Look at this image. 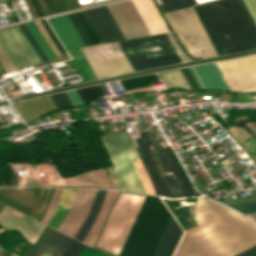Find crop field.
I'll return each mask as SVG.
<instances>
[{"label":"crop field","instance_id":"1","mask_svg":"<svg viewBox=\"0 0 256 256\" xmlns=\"http://www.w3.org/2000/svg\"><path fill=\"white\" fill-rule=\"evenodd\" d=\"M228 54L256 48V34L237 0L204 5Z\"/></svg>","mask_w":256,"mask_h":256},{"label":"crop field","instance_id":"2","mask_svg":"<svg viewBox=\"0 0 256 256\" xmlns=\"http://www.w3.org/2000/svg\"><path fill=\"white\" fill-rule=\"evenodd\" d=\"M119 192H122V191H119ZM118 192V194H119ZM123 193H129V192H123ZM123 193H120L115 204H114V207L108 217V220L101 232V235L96 243V247H99L101 249H104V250H107L109 252H112V253H115V254H119L122 246H123V243L129 233V230L134 222V219L140 209V206L144 200L145 197H142V196H145L143 194H136V193H129V194H136V195H142V196H136V195H129V194H123ZM107 219V218H106ZM94 247V246H93ZM94 247V248H96ZM98 249V248H96ZM99 249V250H101ZM104 250H101V251H104ZM106 252V251H104ZM109 252H106V253H109ZM112 253H109L111 255H114ZM117 255H114V256H117Z\"/></svg>","mask_w":256,"mask_h":256},{"label":"crop field","instance_id":"3","mask_svg":"<svg viewBox=\"0 0 256 256\" xmlns=\"http://www.w3.org/2000/svg\"><path fill=\"white\" fill-rule=\"evenodd\" d=\"M134 71L180 63L166 34L120 41Z\"/></svg>","mask_w":256,"mask_h":256},{"label":"crop field","instance_id":"4","mask_svg":"<svg viewBox=\"0 0 256 256\" xmlns=\"http://www.w3.org/2000/svg\"><path fill=\"white\" fill-rule=\"evenodd\" d=\"M113 164L122 190L146 193L132 159L139 158L127 131L100 137Z\"/></svg>","mask_w":256,"mask_h":256},{"label":"crop field","instance_id":"5","mask_svg":"<svg viewBox=\"0 0 256 256\" xmlns=\"http://www.w3.org/2000/svg\"><path fill=\"white\" fill-rule=\"evenodd\" d=\"M164 16L190 56L194 58L217 56L193 7L165 13Z\"/></svg>","mask_w":256,"mask_h":256},{"label":"crop field","instance_id":"6","mask_svg":"<svg viewBox=\"0 0 256 256\" xmlns=\"http://www.w3.org/2000/svg\"><path fill=\"white\" fill-rule=\"evenodd\" d=\"M147 150L150 156V160L151 163L155 169V172L157 174V177L161 183V186L163 188L164 194L166 197H175V198H179V197H183V196H192L187 184L181 174V172L179 171L177 165L175 164V162L172 160V158L170 157L168 152H163L162 148L160 147L159 143L157 142V139L155 137V135L151 136L154 144L159 152V156H160V160H161V164L163 167V171L165 172H171L173 171L174 176L176 178V181L182 191L179 190L178 186L176 185V183L174 182L173 178L171 175H165V176H161L158 167L153 159V156L151 154L150 148L148 146V144H151L149 137L147 135L146 131H142L139 132ZM146 150V151H147Z\"/></svg>","mask_w":256,"mask_h":256},{"label":"crop field","instance_id":"7","mask_svg":"<svg viewBox=\"0 0 256 256\" xmlns=\"http://www.w3.org/2000/svg\"><path fill=\"white\" fill-rule=\"evenodd\" d=\"M161 200L147 195L119 256H135Z\"/></svg>","mask_w":256,"mask_h":256},{"label":"crop field","instance_id":"8","mask_svg":"<svg viewBox=\"0 0 256 256\" xmlns=\"http://www.w3.org/2000/svg\"><path fill=\"white\" fill-rule=\"evenodd\" d=\"M0 43L6 50L16 70L40 64V61L29 48L18 28L1 31Z\"/></svg>","mask_w":256,"mask_h":256},{"label":"crop field","instance_id":"9","mask_svg":"<svg viewBox=\"0 0 256 256\" xmlns=\"http://www.w3.org/2000/svg\"><path fill=\"white\" fill-rule=\"evenodd\" d=\"M95 191L94 189L76 190L69 211L57 230L74 237L87 216Z\"/></svg>","mask_w":256,"mask_h":256},{"label":"crop field","instance_id":"10","mask_svg":"<svg viewBox=\"0 0 256 256\" xmlns=\"http://www.w3.org/2000/svg\"><path fill=\"white\" fill-rule=\"evenodd\" d=\"M170 215L161 202L136 256H152Z\"/></svg>","mask_w":256,"mask_h":256},{"label":"crop field","instance_id":"11","mask_svg":"<svg viewBox=\"0 0 256 256\" xmlns=\"http://www.w3.org/2000/svg\"><path fill=\"white\" fill-rule=\"evenodd\" d=\"M13 213L14 211L7 207L1 210L0 224L10 230L17 228L30 243H34L44 225L27 216L22 219Z\"/></svg>","mask_w":256,"mask_h":256},{"label":"crop field","instance_id":"12","mask_svg":"<svg viewBox=\"0 0 256 256\" xmlns=\"http://www.w3.org/2000/svg\"><path fill=\"white\" fill-rule=\"evenodd\" d=\"M49 21L67 51L84 46L83 41L75 30L67 14L50 18Z\"/></svg>","mask_w":256,"mask_h":256},{"label":"crop field","instance_id":"13","mask_svg":"<svg viewBox=\"0 0 256 256\" xmlns=\"http://www.w3.org/2000/svg\"><path fill=\"white\" fill-rule=\"evenodd\" d=\"M74 239L52 230L29 256H60Z\"/></svg>","mask_w":256,"mask_h":256},{"label":"crop field","instance_id":"14","mask_svg":"<svg viewBox=\"0 0 256 256\" xmlns=\"http://www.w3.org/2000/svg\"><path fill=\"white\" fill-rule=\"evenodd\" d=\"M205 88L229 90L215 63L193 66Z\"/></svg>","mask_w":256,"mask_h":256},{"label":"crop field","instance_id":"15","mask_svg":"<svg viewBox=\"0 0 256 256\" xmlns=\"http://www.w3.org/2000/svg\"><path fill=\"white\" fill-rule=\"evenodd\" d=\"M117 192L118 191H107L106 192V196H105L104 202L102 204V207L100 209V212H99L93 226L91 227L90 231L88 232L85 239L83 240V243L93 246Z\"/></svg>","mask_w":256,"mask_h":256},{"label":"crop field","instance_id":"16","mask_svg":"<svg viewBox=\"0 0 256 256\" xmlns=\"http://www.w3.org/2000/svg\"><path fill=\"white\" fill-rule=\"evenodd\" d=\"M87 17L89 18L91 24L96 30L98 36L100 37L102 43L115 41L116 38L111 31L109 25L107 24L104 16L102 15L98 7L84 10Z\"/></svg>","mask_w":256,"mask_h":256},{"label":"crop field","instance_id":"17","mask_svg":"<svg viewBox=\"0 0 256 256\" xmlns=\"http://www.w3.org/2000/svg\"><path fill=\"white\" fill-rule=\"evenodd\" d=\"M136 37L149 35L131 0L118 3Z\"/></svg>","mask_w":256,"mask_h":256},{"label":"crop field","instance_id":"18","mask_svg":"<svg viewBox=\"0 0 256 256\" xmlns=\"http://www.w3.org/2000/svg\"><path fill=\"white\" fill-rule=\"evenodd\" d=\"M204 29L206 30L216 52L218 53V55H223V54H227L216 30L214 29L203 5H200V6H195L194 7Z\"/></svg>","mask_w":256,"mask_h":256},{"label":"crop field","instance_id":"19","mask_svg":"<svg viewBox=\"0 0 256 256\" xmlns=\"http://www.w3.org/2000/svg\"><path fill=\"white\" fill-rule=\"evenodd\" d=\"M119 74L133 71L118 42L103 45Z\"/></svg>","mask_w":256,"mask_h":256},{"label":"crop field","instance_id":"20","mask_svg":"<svg viewBox=\"0 0 256 256\" xmlns=\"http://www.w3.org/2000/svg\"><path fill=\"white\" fill-rule=\"evenodd\" d=\"M76 189L63 188L59 204L48 226L56 229L65 217Z\"/></svg>","mask_w":256,"mask_h":256},{"label":"crop field","instance_id":"21","mask_svg":"<svg viewBox=\"0 0 256 256\" xmlns=\"http://www.w3.org/2000/svg\"><path fill=\"white\" fill-rule=\"evenodd\" d=\"M105 191L106 190H98L97 191L96 196H95L94 201H93V204L91 206V209L88 213V216H87L84 224L81 226V228L79 229V231L77 232V234L74 237L77 240L82 242L83 238L85 237L88 230L92 226V224H93V222H94V220H95V218H96V216L99 212L101 204L103 202Z\"/></svg>","mask_w":256,"mask_h":256},{"label":"crop field","instance_id":"22","mask_svg":"<svg viewBox=\"0 0 256 256\" xmlns=\"http://www.w3.org/2000/svg\"><path fill=\"white\" fill-rule=\"evenodd\" d=\"M134 140L136 142L137 149H138V151L140 153V157H141L142 163H143V165H144V167H145V169H146V171H147V173H148V175L150 177V180L152 182V185H153V188H154L156 194L159 195V196L165 197L164 194H163V191L161 189V186H160V184L158 182V179H157V177L155 175L154 169H153V167H152V165L150 163V160H149V157H148V153L146 151V148H145L141 138L140 137L139 138H135Z\"/></svg>","mask_w":256,"mask_h":256},{"label":"crop field","instance_id":"23","mask_svg":"<svg viewBox=\"0 0 256 256\" xmlns=\"http://www.w3.org/2000/svg\"><path fill=\"white\" fill-rule=\"evenodd\" d=\"M158 81L159 78L157 74H147L139 77L122 80L121 83L125 91H128L132 89L150 86L151 84L157 83Z\"/></svg>","mask_w":256,"mask_h":256},{"label":"crop field","instance_id":"24","mask_svg":"<svg viewBox=\"0 0 256 256\" xmlns=\"http://www.w3.org/2000/svg\"><path fill=\"white\" fill-rule=\"evenodd\" d=\"M87 62L89 63L90 67L92 68L94 74L96 75L97 79L107 77V74L93 48V46L83 47L81 48Z\"/></svg>","mask_w":256,"mask_h":256},{"label":"crop field","instance_id":"25","mask_svg":"<svg viewBox=\"0 0 256 256\" xmlns=\"http://www.w3.org/2000/svg\"><path fill=\"white\" fill-rule=\"evenodd\" d=\"M107 7H108L109 11L111 12L113 18L115 19L117 25L119 26L120 30L122 31L124 37L126 39L134 38L135 35H134L133 31L131 30L129 24L127 23L125 17L123 16L121 10L119 9L117 3L108 4Z\"/></svg>","mask_w":256,"mask_h":256},{"label":"crop field","instance_id":"26","mask_svg":"<svg viewBox=\"0 0 256 256\" xmlns=\"http://www.w3.org/2000/svg\"><path fill=\"white\" fill-rule=\"evenodd\" d=\"M168 89L170 88H189L180 69L160 73Z\"/></svg>","mask_w":256,"mask_h":256},{"label":"crop field","instance_id":"27","mask_svg":"<svg viewBox=\"0 0 256 256\" xmlns=\"http://www.w3.org/2000/svg\"><path fill=\"white\" fill-rule=\"evenodd\" d=\"M25 26L29 30V32L32 34V36L34 37V39L36 40V42L38 43V45L40 46V48L42 49V51L44 52L48 60L55 57V54L53 53V51L51 50V48L49 47V45L47 44L43 36L41 35L35 22L27 23L25 24Z\"/></svg>","mask_w":256,"mask_h":256},{"label":"crop field","instance_id":"28","mask_svg":"<svg viewBox=\"0 0 256 256\" xmlns=\"http://www.w3.org/2000/svg\"><path fill=\"white\" fill-rule=\"evenodd\" d=\"M74 15L77 18L78 22L80 23L81 27L83 28V30H84L85 34L87 35L88 39L90 40L91 44L101 43L99 37L97 36L95 30L93 29L92 25L90 24L84 11L74 12Z\"/></svg>","mask_w":256,"mask_h":256},{"label":"crop field","instance_id":"29","mask_svg":"<svg viewBox=\"0 0 256 256\" xmlns=\"http://www.w3.org/2000/svg\"><path fill=\"white\" fill-rule=\"evenodd\" d=\"M77 92L83 103L105 96L101 85L78 89Z\"/></svg>","mask_w":256,"mask_h":256},{"label":"crop field","instance_id":"30","mask_svg":"<svg viewBox=\"0 0 256 256\" xmlns=\"http://www.w3.org/2000/svg\"><path fill=\"white\" fill-rule=\"evenodd\" d=\"M175 224H176V222H175L174 218L171 216V218H170V220H169V222H168V224H167V226H166V228L163 232V235H162V237H161V239H160V241H159V243H158V245L155 249V252H154L153 256H161L162 255V252H163V250H164V248L167 244V241H168V239L171 235V232H172Z\"/></svg>","mask_w":256,"mask_h":256},{"label":"crop field","instance_id":"31","mask_svg":"<svg viewBox=\"0 0 256 256\" xmlns=\"http://www.w3.org/2000/svg\"><path fill=\"white\" fill-rule=\"evenodd\" d=\"M182 233H183V231L178 226V224H176L162 256H172L173 255L175 248L181 238Z\"/></svg>","mask_w":256,"mask_h":256},{"label":"crop field","instance_id":"32","mask_svg":"<svg viewBox=\"0 0 256 256\" xmlns=\"http://www.w3.org/2000/svg\"><path fill=\"white\" fill-rule=\"evenodd\" d=\"M166 11L194 5V0H161Z\"/></svg>","mask_w":256,"mask_h":256},{"label":"crop field","instance_id":"33","mask_svg":"<svg viewBox=\"0 0 256 256\" xmlns=\"http://www.w3.org/2000/svg\"><path fill=\"white\" fill-rule=\"evenodd\" d=\"M100 9H101L103 15L105 16L107 22L109 23V25H110L112 31L114 32V34H115L117 40H122V39H124L122 33L120 32L118 26L116 25V23H115V21H114V19L112 18L111 14L109 13V11H108L106 5L100 6Z\"/></svg>","mask_w":256,"mask_h":256},{"label":"crop field","instance_id":"34","mask_svg":"<svg viewBox=\"0 0 256 256\" xmlns=\"http://www.w3.org/2000/svg\"><path fill=\"white\" fill-rule=\"evenodd\" d=\"M61 190H62V188H56V190H55V195H54V199H53V201H52V203H51V205H50V208H49V211H48L47 215H46L45 218L42 220V223H43V221H45L44 224L47 225L48 221H49L50 218L52 217L53 212H54V210H55V208H56V206H57V204H58V201H59V198H60V194H61Z\"/></svg>","mask_w":256,"mask_h":256},{"label":"crop field","instance_id":"35","mask_svg":"<svg viewBox=\"0 0 256 256\" xmlns=\"http://www.w3.org/2000/svg\"><path fill=\"white\" fill-rule=\"evenodd\" d=\"M84 247L85 245L75 240L62 256H77Z\"/></svg>","mask_w":256,"mask_h":256},{"label":"crop field","instance_id":"36","mask_svg":"<svg viewBox=\"0 0 256 256\" xmlns=\"http://www.w3.org/2000/svg\"><path fill=\"white\" fill-rule=\"evenodd\" d=\"M243 214L256 212V202L230 206Z\"/></svg>","mask_w":256,"mask_h":256},{"label":"crop field","instance_id":"37","mask_svg":"<svg viewBox=\"0 0 256 256\" xmlns=\"http://www.w3.org/2000/svg\"><path fill=\"white\" fill-rule=\"evenodd\" d=\"M0 62L3 66V68L5 69L6 73L15 71V68L13 67L10 60L8 59V57L2 50L1 46H0Z\"/></svg>","mask_w":256,"mask_h":256},{"label":"crop field","instance_id":"38","mask_svg":"<svg viewBox=\"0 0 256 256\" xmlns=\"http://www.w3.org/2000/svg\"><path fill=\"white\" fill-rule=\"evenodd\" d=\"M51 97H52L57 109L69 106V104H68L67 100L65 99L63 93L53 94V95H51Z\"/></svg>","mask_w":256,"mask_h":256},{"label":"crop field","instance_id":"39","mask_svg":"<svg viewBox=\"0 0 256 256\" xmlns=\"http://www.w3.org/2000/svg\"><path fill=\"white\" fill-rule=\"evenodd\" d=\"M74 50H75L77 56L79 57L80 61L82 62L84 68L86 69L87 73L89 74L91 80H95L96 77L93 74V72H92L91 68L89 67L88 63L86 62V60H85V58H84L80 48H77V49H74Z\"/></svg>","mask_w":256,"mask_h":256},{"label":"crop field","instance_id":"40","mask_svg":"<svg viewBox=\"0 0 256 256\" xmlns=\"http://www.w3.org/2000/svg\"><path fill=\"white\" fill-rule=\"evenodd\" d=\"M68 16L71 19L72 23L74 24L75 28L77 29V31H78L79 35L81 36L82 40L84 41L85 45H89L90 42L87 39L86 35L84 34L83 30L81 29L79 23L77 22L76 18L73 15V13H69Z\"/></svg>","mask_w":256,"mask_h":256},{"label":"crop field","instance_id":"41","mask_svg":"<svg viewBox=\"0 0 256 256\" xmlns=\"http://www.w3.org/2000/svg\"><path fill=\"white\" fill-rule=\"evenodd\" d=\"M254 23L256 24V0H243Z\"/></svg>","mask_w":256,"mask_h":256},{"label":"crop field","instance_id":"42","mask_svg":"<svg viewBox=\"0 0 256 256\" xmlns=\"http://www.w3.org/2000/svg\"><path fill=\"white\" fill-rule=\"evenodd\" d=\"M42 25L44 26L45 30L48 32V34L50 35L51 39L53 40V42L55 43V45L57 46L58 50L60 51L61 54L65 53V51L63 50V48L61 47V45L59 44L58 40L56 39V37L54 36V34L52 33L49 25L47 24L46 20H42L41 21Z\"/></svg>","mask_w":256,"mask_h":256},{"label":"crop field","instance_id":"43","mask_svg":"<svg viewBox=\"0 0 256 256\" xmlns=\"http://www.w3.org/2000/svg\"><path fill=\"white\" fill-rule=\"evenodd\" d=\"M106 253L86 246L78 256H105Z\"/></svg>","mask_w":256,"mask_h":256},{"label":"crop field","instance_id":"44","mask_svg":"<svg viewBox=\"0 0 256 256\" xmlns=\"http://www.w3.org/2000/svg\"><path fill=\"white\" fill-rule=\"evenodd\" d=\"M256 194V189L254 190ZM256 201V196L240 198V199H233L227 201H221L224 204L231 205V204H239V203H246V202H253Z\"/></svg>","mask_w":256,"mask_h":256},{"label":"crop field","instance_id":"45","mask_svg":"<svg viewBox=\"0 0 256 256\" xmlns=\"http://www.w3.org/2000/svg\"><path fill=\"white\" fill-rule=\"evenodd\" d=\"M168 38L170 39L172 45L174 46L175 50L177 51L179 57L181 58L182 62L183 61H187L190 60L184 53L183 51L179 48L178 44L176 43V41L174 40L173 36L171 35V33L167 34Z\"/></svg>","mask_w":256,"mask_h":256},{"label":"crop field","instance_id":"46","mask_svg":"<svg viewBox=\"0 0 256 256\" xmlns=\"http://www.w3.org/2000/svg\"><path fill=\"white\" fill-rule=\"evenodd\" d=\"M66 94H67L72 106L82 104V101L80 100L76 90L67 91Z\"/></svg>","mask_w":256,"mask_h":256},{"label":"crop field","instance_id":"47","mask_svg":"<svg viewBox=\"0 0 256 256\" xmlns=\"http://www.w3.org/2000/svg\"><path fill=\"white\" fill-rule=\"evenodd\" d=\"M181 71H182L184 77L186 78L190 88H198V86H197L196 82L194 81L192 75L190 74L188 68H183V69H181Z\"/></svg>","mask_w":256,"mask_h":256},{"label":"crop field","instance_id":"48","mask_svg":"<svg viewBox=\"0 0 256 256\" xmlns=\"http://www.w3.org/2000/svg\"><path fill=\"white\" fill-rule=\"evenodd\" d=\"M21 28L23 29V31L25 32V34L27 35V37L29 38V40L31 41V43L33 44V46L35 47V49L37 50V52L39 53V55L42 57V59L44 60V62L48 61L47 58L44 56V54L42 53V51L39 49V47L36 45V43L34 42L31 34L28 32V30L25 28L24 25H20Z\"/></svg>","mask_w":256,"mask_h":256},{"label":"crop field","instance_id":"49","mask_svg":"<svg viewBox=\"0 0 256 256\" xmlns=\"http://www.w3.org/2000/svg\"><path fill=\"white\" fill-rule=\"evenodd\" d=\"M236 256H256V246Z\"/></svg>","mask_w":256,"mask_h":256},{"label":"crop field","instance_id":"50","mask_svg":"<svg viewBox=\"0 0 256 256\" xmlns=\"http://www.w3.org/2000/svg\"><path fill=\"white\" fill-rule=\"evenodd\" d=\"M239 2H240V4H241V6H242L244 12L246 13V15H247V17H248V19H249V21H250V23H251L253 29H254L255 32H256V26H255V24L253 23V21H252L250 15H249V13H248V11H247V9H246L244 3H243V1H242V0H239Z\"/></svg>","mask_w":256,"mask_h":256},{"label":"crop field","instance_id":"51","mask_svg":"<svg viewBox=\"0 0 256 256\" xmlns=\"http://www.w3.org/2000/svg\"><path fill=\"white\" fill-rule=\"evenodd\" d=\"M31 2H32V4H33V6H34V8H35V10H36V12H37V14H38V16H39V17H42L43 14H42V12H41V10H40V8H39V6H38L36 0H31Z\"/></svg>","mask_w":256,"mask_h":256},{"label":"crop field","instance_id":"52","mask_svg":"<svg viewBox=\"0 0 256 256\" xmlns=\"http://www.w3.org/2000/svg\"><path fill=\"white\" fill-rule=\"evenodd\" d=\"M25 40L27 41L28 45L30 46V48L33 50V52L36 54V56L38 57V59L41 61V63H43V60L40 58V56L37 54V52L34 50V48L32 47V45L30 44L29 40L27 39L26 35H24Z\"/></svg>","mask_w":256,"mask_h":256},{"label":"crop field","instance_id":"53","mask_svg":"<svg viewBox=\"0 0 256 256\" xmlns=\"http://www.w3.org/2000/svg\"><path fill=\"white\" fill-rule=\"evenodd\" d=\"M247 216L251 217V218H254L256 217V213H253V214H247Z\"/></svg>","mask_w":256,"mask_h":256},{"label":"crop field","instance_id":"54","mask_svg":"<svg viewBox=\"0 0 256 256\" xmlns=\"http://www.w3.org/2000/svg\"><path fill=\"white\" fill-rule=\"evenodd\" d=\"M63 93H64V95H65L66 99L68 100V98H67V96H66L65 92H63ZM68 102H69V100H68ZM69 104H70V102H69ZM70 106H71V104H70Z\"/></svg>","mask_w":256,"mask_h":256},{"label":"crop field","instance_id":"55","mask_svg":"<svg viewBox=\"0 0 256 256\" xmlns=\"http://www.w3.org/2000/svg\"><path fill=\"white\" fill-rule=\"evenodd\" d=\"M106 256H111V255H108V254H107Z\"/></svg>","mask_w":256,"mask_h":256},{"label":"crop field","instance_id":"56","mask_svg":"<svg viewBox=\"0 0 256 256\" xmlns=\"http://www.w3.org/2000/svg\"><path fill=\"white\" fill-rule=\"evenodd\" d=\"M256 220V219H255Z\"/></svg>","mask_w":256,"mask_h":256}]
</instances>
